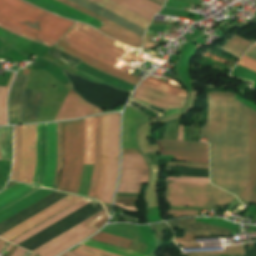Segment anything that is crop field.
<instances>
[{"label":"crop field","instance_id":"crop-field-45","mask_svg":"<svg viewBox=\"0 0 256 256\" xmlns=\"http://www.w3.org/2000/svg\"><path fill=\"white\" fill-rule=\"evenodd\" d=\"M56 48H58V49H60V50H62V51H64V52H66V53H68V54L74 56L75 58H77V59H79V60H81V61H83V62H85V63H87V64H89V65H91V66H93V67H95V68H98V69H100V70H102V71H104V72H106V73H108V74H110V75H112V76H115V77H117V78H120V79H122V80H125V81H127V82H129V83H132V84L136 85V82L131 81V80H128V79L123 78V77H120V76L115 75V74H113V73H111V72H109V71H106V70H104V69H102V68H100V67H97V66H95V65H93V64H91V63L85 61L84 59H82V58H80V57H78V56L72 54L71 52H69V51H67V50H65V49H63V48H61V47H59V46H57V45H56Z\"/></svg>","mask_w":256,"mask_h":256},{"label":"crop field","instance_id":"crop-field-21","mask_svg":"<svg viewBox=\"0 0 256 256\" xmlns=\"http://www.w3.org/2000/svg\"><path fill=\"white\" fill-rule=\"evenodd\" d=\"M143 37L145 30L86 0H70Z\"/></svg>","mask_w":256,"mask_h":256},{"label":"crop field","instance_id":"crop-field-41","mask_svg":"<svg viewBox=\"0 0 256 256\" xmlns=\"http://www.w3.org/2000/svg\"><path fill=\"white\" fill-rule=\"evenodd\" d=\"M103 213H105V211H102V212L98 213L97 215H95V216L91 217L90 219L86 220L85 222H83V223L79 224L78 226H76V227L72 228L71 230H69V231L65 232L64 234H62V235L58 236L57 238H55V239L51 240L50 242L46 243L45 245H43V246L39 247L38 249H36V250H34V251H32V252L36 253V252L40 251L41 249H43V248L47 247L48 245H50V244H52L53 242H55V241L59 240L60 238L64 237L65 235H67V234H69L70 232H72V231L76 230L77 228H79V227H81L82 225H84V224L88 223L89 221L93 220L94 218H96V217L100 216V215H101V214H103Z\"/></svg>","mask_w":256,"mask_h":256},{"label":"crop field","instance_id":"crop-field-23","mask_svg":"<svg viewBox=\"0 0 256 256\" xmlns=\"http://www.w3.org/2000/svg\"><path fill=\"white\" fill-rule=\"evenodd\" d=\"M100 169V116L94 117L93 170L88 196L94 197Z\"/></svg>","mask_w":256,"mask_h":256},{"label":"crop field","instance_id":"crop-field-10","mask_svg":"<svg viewBox=\"0 0 256 256\" xmlns=\"http://www.w3.org/2000/svg\"><path fill=\"white\" fill-rule=\"evenodd\" d=\"M36 125L22 126V164L18 181L31 184L35 165Z\"/></svg>","mask_w":256,"mask_h":256},{"label":"crop field","instance_id":"crop-field-16","mask_svg":"<svg viewBox=\"0 0 256 256\" xmlns=\"http://www.w3.org/2000/svg\"><path fill=\"white\" fill-rule=\"evenodd\" d=\"M251 203L256 204V112L248 108Z\"/></svg>","mask_w":256,"mask_h":256},{"label":"crop field","instance_id":"crop-field-55","mask_svg":"<svg viewBox=\"0 0 256 256\" xmlns=\"http://www.w3.org/2000/svg\"><path fill=\"white\" fill-rule=\"evenodd\" d=\"M183 247H201V244H182Z\"/></svg>","mask_w":256,"mask_h":256},{"label":"crop field","instance_id":"crop-field-30","mask_svg":"<svg viewBox=\"0 0 256 256\" xmlns=\"http://www.w3.org/2000/svg\"><path fill=\"white\" fill-rule=\"evenodd\" d=\"M21 164V126L14 127V164L12 170V180L18 178V173Z\"/></svg>","mask_w":256,"mask_h":256},{"label":"crop field","instance_id":"crop-field-18","mask_svg":"<svg viewBox=\"0 0 256 256\" xmlns=\"http://www.w3.org/2000/svg\"><path fill=\"white\" fill-rule=\"evenodd\" d=\"M56 166V123L47 124V165L42 186L51 188Z\"/></svg>","mask_w":256,"mask_h":256},{"label":"crop field","instance_id":"crop-field-37","mask_svg":"<svg viewBox=\"0 0 256 256\" xmlns=\"http://www.w3.org/2000/svg\"><path fill=\"white\" fill-rule=\"evenodd\" d=\"M142 84L148 85L150 87L159 89L161 91L167 92V93H171V94H175V95H180V96H184L186 97V92L185 90H180V89H175V88H171L168 87L158 81L152 80L147 78L144 82H142Z\"/></svg>","mask_w":256,"mask_h":256},{"label":"crop field","instance_id":"crop-field-15","mask_svg":"<svg viewBox=\"0 0 256 256\" xmlns=\"http://www.w3.org/2000/svg\"><path fill=\"white\" fill-rule=\"evenodd\" d=\"M28 1H31L43 8H46L58 15L88 23L97 29L103 25V23L85 14H82L72 8H69L59 2H56L54 0H28Z\"/></svg>","mask_w":256,"mask_h":256},{"label":"crop field","instance_id":"crop-field-8","mask_svg":"<svg viewBox=\"0 0 256 256\" xmlns=\"http://www.w3.org/2000/svg\"><path fill=\"white\" fill-rule=\"evenodd\" d=\"M119 117L120 114H110L108 172L101 199L108 204L112 201L118 172Z\"/></svg>","mask_w":256,"mask_h":256},{"label":"crop field","instance_id":"crop-field-11","mask_svg":"<svg viewBox=\"0 0 256 256\" xmlns=\"http://www.w3.org/2000/svg\"><path fill=\"white\" fill-rule=\"evenodd\" d=\"M80 199H82V197L69 195L64 199L60 200L59 202L48 207L47 209L43 210L42 212L38 213L37 215L21 223L20 225L16 226L15 228L4 233L0 237L6 241H9L15 238L16 236L20 235L21 233L27 231L28 229L34 227L35 225L39 224L40 222L46 220L47 218L53 216L59 211L65 209L66 207L72 205L73 203L77 202Z\"/></svg>","mask_w":256,"mask_h":256},{"label":"crop field","instance_id":"crop-field-53","mask_svg":"<svg viewBox=\"0 0 256 256\" xmlns=\"http://www.w3.org/2000/svg\"><path fill=\"white\" fill-rule=\"evenodd\" d=\"M134 57L135 56L128 53L122 60L129 63Z\"/></svg>","mask_w":256,"mask_h":256},{"label":"crop field","instance_id":"crop-field-33","mask_svg":"<svg viewBox=\"0 0 256 256\" xmlns=\"http://www.w3.org/2000/svg\"><path fill=\"white\" fill-rule=\"evenodd\" d=\"M0 150L3 160H11V133L8 127L0 128Z\"/></svg>","mask_w":256,"mask_h":256},{"label":"crop field","instance_id":"crop-field-24","mask_svg":"<svg viewBox=\"0 0 256 256\" xmlns=\"http://www.w3.org/2000/svg\"><path fill=\"white\" fill-rule=\"evenodd\" d=\"M90 1L108 9L109 11L123 17L124 19L136 24L137 26L143 29H145L148 23L150 22L109 0H90Z\"/></svg>","mask_w":256,"mask_h":256},{"label":"crop field","instance_id":"crop-field-4","mask_svg":"<svg viewBox=\"0 0 256 256\" xmlns=\"http://www.w3.org/2000/svg\"><path fill=\"white\" fill-rule=\"evenodd\" d=\"M166 183V197L171 206L211 207L231 204L234 199V196L210 184Z\"/></svg>","mask_w":256,"mask_h":256},{"label":"crop field","instance_id":"crop-field-57","mask_svg":"<svg viewBox=\"0 0 256 256\" xmlns=\"http://www.w3.org/2000/svg\"><path fill=\"white\" fill-rule=\"evenodd\" d=\"M4 244H5V241H3V240L0 239V250H1V248L3 247Z\"/></svg>","mask_w":256,"mask_h":256},{"label":"crop field","instance_id":"crop-field-9","mask_svg":"<svg viewBox=\"0 0 256 256\" xmlns=\"http://www.w3.org/2000/svg\"><path fill=\"white\" fill-rule=\"evenodd\" d=\"M107 219L108 216L105 213L100 217L94 219L93 221L89 222L88 224L77 229L76 231L72 232L71 234L60 239L59 241L48 246L47 248L41 250L37 254H39V256H54L71 247L72 245L84 239L93 232L97 231L96 229H99L107 221Z\"/></svg>","mask_w":256,"mask_h":256},{"label":"crop field","instance_id":"crop-field-7","mask_svg":"<svg viewBox=\"0 0 256 256\" xmlns=\"http://www.w3.org/2000/svg\"><path fill=\"white\" fill-rule=\"evenodd\" d=\"M161 155H174V160L208 163V144L184 141H159Z\"/></svg>","mask_w":256,"mask_h":256},{"label":"crop field","instance_id":"crop-field-56","mask_svg":"<svg viewBox=\"0 0 256 256\" xmlns=\"http://www.w3.org/2000/svg\"><path fill=\"white\" fill-rule=\"evenodd\" d=\"M149 78H152V79L158 80V81H160V82H162V83H164V84H167V85H169V86L176 87V86H174V85H171V84L165 83V82H163V81H161V80H159V79L153 78V77H151V76H149ZM177 88H180V87H177ZM181 89H182V88H181Z\"/></svg>","mask_w":256,"mask_h":256},{"label":"crop field","instance_id":"crop-field-22","mask_svg":"<svg viewBox=\"0 0 256 256\" xmlns=\"http://www.w3.org/2000/svg\"><path fill=\"white\" fill-rule=\"evenodd\" d=\"M134 13L151 20L152 16L158 12L162 6L150 0H111Z\"/></svg>","mask_w":256,"mask_h":256},{"label":"crop field","instance_id":"crop-field-46","mask_svg":"<svg viewBox=\"0 0 256 256\" xmlns=\"http://www.w3.org/2000/svg\"><path fill=\"white\" fill-rule=\"evenodd\" d=\"M201 237V232L199 231H191L186 232L184 239H175L176 242H188V243H194V238Z\"/></svg>","mask_w":256,"mask_h":256},{"label":"crop field","instance_id":"crop-field-29","mask_svg":"<svg viewBox=\"0 0 256 256\" xmlns=\"http://www.w3.org/2000/svg\"><path fill=\"white\" fill-rule=\"evenodd\" d=\"M93 117L84 119V164H92Z\"/></svg>","mask_w":256,"mask_h":256},{"label":"crop field","instance_id":"crop-field-17","mask_svg":"<svg viewBox=\"0 0 256 256\" xmlns=\"http://www.w3.org/2000/svg\"><path fill=\"white\" fill-rule=\"evenodd\" d=\"M46 165V124L37 125L36 165L33 176L34 185L41 186Z\"/></svg>","mask_w":256,"mask_h":256},{"label":"crop field","instance_id":"crop-field-54","mask_svg":"<svg viewBox=\"0 0 256 256\" xmlns=\"http://www.w3.org/2000/svg\"><path fill=\"white\" fill-rule=\"evenodd\" d=\"M182 135H183V125H180L177 140H182Z\"/></svg>","mask_w":256,"mask_h":256},{"label":"crop field","instance_id":"crop-field-38","mask_svg":"<svg viewBox=\"0 0 256 256\" xmlns=\"http://www.w3.org/2000/svg\"><path fill=\"white\" fill-rule=\"evenodd\" d=\"M61 166V123H57V166L52 188L56 189Z\"/></svg>","mask_w":256,"mask_h":256},{"label":"crop field","instance_id":"crop-field-48","mask_svg":"<svg viewBox=\"0 0 256 256\" xmlns=\"http://www.w3.org/2000/svg\"><path fill=\"white\" fill-rule=\"evenodd\" d=\"M169 25H154V24H150L148 30H152V31H167Z\"/></svg>","mask_w":256,"mask_h":256},{"label":"crop field","instance_id":"crop-field-12","mask_svg":"<svg viewBox=\"0 0 256 256\" xmlns=\"http://www.w3.org/2000/svg\"><path fill=\"white\" fill-rule=\"evenodd\" d=\"M56 1H59V2L65 4L69 7H72V8H74V9H76V10L82 12V13H85V14H87V15L95 18V19H98V20L104 22L105 24L98 29L102 33H104V34H106V35H108V36H110V37H112L116 40H119V41H121V42H123V43H125L129 46H134V47H137V48L140 47V44H141L143 38H141V37L129 32V31L115 25L114 23H112V22H110V21H108V20H106V19H104V18H102V17H100V16H98V15H96V14H94V13H92V12L74 4V3H72V2H69L67 0H56Z\"/></svg>","mask_w":256,"mask_h":256},{"label":"crop field","instance_id":"crop-field-58","mask_svg":"<svg viewBox=\"0 0 256 256\" xmlns=\"http://www.w3.org/2000/svg\"><path fill=\"white\" fill-rule=\"evenodd\" d=\"M154 1H156V2H158V3H160V4H162V5H163V3L165 2V0H154Z\"/></svg>","mask_w":256,"mask_h":256},{"label":"crop field","instance_id":"crop-field-51","mask_svg":"<svg viewBox=\"0 0 256 256\" xmlns=\"http://www.w3.org/2000/svg\"><path fill=\"white\" fill-rule=\"evenodd\" d=\"M25 250L17 247V249L13 252L11 256H22L24 254Z\"/></svg>","mask_w":256,"mask_h":256},{"label":"crop field","instance_id":"crop-field-19","mask_svg":"<svg viewBox=\"0 0 256 256\" xmlns=\"http://www.w3.org/2000/svg\"><path fill=\"white\" fill-rule=\"evenodd\" d=\"M109 114L101 116V169L95 198L100 200L107 172Z\"/></svg>","mask_w":256,"mask_h":256},{"label":"crop field","instance_id":"crop-field-32","mask_svg":"<svg viewBox=\"0 0 256 256\" xmlns=\"http://www.w3.org/2000/svg\"><path fill=\"white\" fill-rule=\"evenodd\" d=\"M246 40L237 35H233L232 38L224 44L223 48L241 56L244 51L252 44Z\"/></svg>","mask_w":256,"mask_h":256},{"label":"crop field","instance_id":"crop-field-1","mask_svg":"<svg viewBox=\"0 0 256 256\" xmlns=\"http://www.w3.org/2000/svg\"><path fill=\"white\" fill-rule=\"evenodd\" d=\"M209 121L200 136L211 142L213 183L250 201L247 106L232 93H208Z\"/></svg>","mask_w":256,"mask_h":256},{"label":"crop field","instance_id":"crop-field-34","mask_svg":"<svg viewBox=\"0 0 256 256\" xmlns=\"http://www.w3.org/2000/svg\"><path fill=\"white\" fill-rule=\"evenodd\" d=\"M91 239H95L98 241H102V242L109 243V244L126 248V249H128V247L132 243V240L124 239L121 237L113 236V235L102 233V232L92 237Z\"/></svg>","mask_w":256,"mask_h":256},{"label":"crop field","instance_id":"crop-field-44","mask_svg":"<svg viewBox=\"0 0 256 256\" xmlns=\"http://www.w3.org/2000/svg\"><path fill=\"white\" fill-rule=\"evenodd\" d=\"M172 180L178 182H195V183H209V178H195V177H168L165 181Z\"/></svg>","mask_w":256,"mask_h":256},{"label":"crop field","instance_id":"crop-field-28","mask_svg":"<svg viewBox=\"0 0 256 256\" xmlns=\"http://www.w3.org/2000/svg\"><path fill=\"white\" fill-rule=\"evenodd\" d=\"M57 45L65 48V49L73 52L74 54H76V55H78V56H80V57H82V58H84V59H86V60H88V61H90V62H92V63H94V64H96V65H98V66H100L102 68H104V69H106V70H109V71H111V72H113L115 74H118L120 76L126 77V78L131 79V80H134L136 82L140 81V79L135 78V77L129 75V73L124 72L122 70H119V69H117L115 67H112L110 65H107V64H105V63H103V62H101V61H99V60H97V59H95V58H93V57H91V56H89V55H87V54H85V53H83V52H81V51H79V50H77V49H75V48L65 44V43H63V42H61V41Z\"/></svg>","mask_w":256,"mask_h":256},{"label":"crop field","instance_id":"crop-field-27","mask_svg":"<svg viewBox=\"0 0 256 256\" xmlns=\"http://www.w3.org/2000/svg\"><path fill=\"white\" fill-rule=\"evenodd\" d=\"M75 68H77V69H79V70L97 78V79H100V80H102L106 83H109V84L114 85L116 87H119L123 90H126L128 92L132 91L133 88H134V86H132V85H129V84L124 83L120 80L112 78V77H110L106 74H103V73H101V72H99V71H97V70H95V69H93V68H91V67H89V66H87L83 63H81V62Z\"/></svg>","mask_w":256,"mask_h":256},{"label":"crop field","instance_id":"crop-field-39","mask_svg":"<svg viewBox=\"0 0 256 256\" xmlns=\"http://www.w3.org/2000/svg\"><path fill=\"white\" fill-rule=\"evenodd\" d=\"M39 188H35V187H28L25 190L19 192L18 194L14 195L13 197L7 199L6 201L2 202L0 204V211L5 209L6 207L12 205L13 203L19 201L20 199L26 197L27 195L33 193L34 191L38 190Z\"/></svg>","mask_w":256,"mask_h":256},{"label":"crop field","instance_id":"crop-field-6","mask_svg":"<svg viewBox=\"0 0 256 256\" xmlns=\"http://www.w3.org/2000/svg\"><path fill=\"white\" fill-rule=\"evenodd\" d=\"M28 77L16 75L8 98L9 124L37 122L43 92L24 89Z\"/></svg>","mask_w":256,"mask_h":256},{"label":"crop field","instance_id":"crop-field-35","mask_svg":"<svg viewBox=\"0 0 256 256\" xmlns=\"http://www.w3.org/2000/svg\"><path fill=\"white\" fill-rule=\"evenodd\" d=\"M78 246H80V245H78ZM78 246H76V247H78ZM76 247L72 248L71 250L75 249ZM71 250H69V251H71ZM72 252H76V253L86 255V256H118V255H114L111 253L103 252V251L92 249V248L85 247V246H80L77 249L73 250ZM62 256H80V255H76V254L67 252V253L63 254Z\"/></svg>","mask_w":256,"mask_h":256},{"label":"crop field","instance_id":"crop-field-52","mask_svg":"<svg viewBox=\"0 0 256 256\" xmlns=\"http://www.w3.org/2000/svg\"><path fill=\"white\" fill-rule=\"evenodd\" d=\"M122 153L140 154L138 149H122Z\"/></svg>","mask_w":256,"mask_h":256},{"label":"crop field","instance_id":"crop-field-13","mask_svg":"<svg viewBox=\"0 0 256 256\" xmlns=\"http://www.w3.org/2000/svg\"><path fill=\"white\" fill-rule=\"evenodd\" d=\"M133 98L166 109L183 108L186 99L184 97L168 95L142 84H140L134 93Z\"/></svg>","mask_w":256,"mask_h":256},{"label":"crop field","instance_id":"crop-field-31","mask_svg":"<svg viewBox=\"0 0 256 256\" xmlns=\"http://www.w3.org/2000/svg\"><path fill=\"white\" fill-rule=\"evenodd\" d=\"M122 169L148 170L142 155L122 154Z\"/></svg>","mask_w":256,"mask_h":256},{"label":"crop field","instance_id":"crop-field-20","mask_svg":"<svg viewBox=\"0 0 256 256\" xmlns=\"http://www.w3.org/2000/svg\"><path fill=\"white\" fill-rule=\"evenodd\" d=\"M149 171L121 170L117 193H138L141 183H147Z\"/></svg>","mask_w":256,"mask_h":256},{"label":"crop field","instance_id":"crop-field-36","mask_svg":"<svg viewBox=\"0 0 256 256\" xmlns=\"http://www.w3.org/2000/svg\"><path fill=\"white\" fill-rule=\"evenodd\" d=\"M15 73L12 74L7 87H0V123H7L6 97Z\"/></svg>","mask_w":256,"mask_h":256},{"label":"crop field","instance_id":"crop-field-43","mask_svg":"<svg viewBox=\"0 0 256 256\" xmlns=\"http://www.w3.org/2000/svg\"><path fill=\"white\" fill-rule=\"evenodd\" d=\"M188 254H243L241 245L226 247V251L218 252H203V253H188ZM184 255V254H181Z\"/></svg>","mask_w":256,"mask_h":256},{"label":"crop field","instance_id":"crop-field-25","mask_svg":"<svg viewBox=\"0 0 256 256\" xmlns=\"http://www.w3.org/2000/svg\"><path fill=\"white\" fill-rule=\"evenodd\" d=\"M89 201H91V199L85 198V199L81 200L80 202L69 207L68 209L64 210L63 212L59 213L58 215L54 216L53 218L47 220L46 222L42 223L41 225H39L36 228L32 229L31 231L27 232L26 234L15 239L11 243H13L15 245L21 243L22 241L26 240L27 238L31 237L32 235L36 234L37 232L41 231L42 229L46 228L47 226L51 225L52 223L58 221L59 219L68 215L69 213L73 212L74 210L78 209L79 207L83 206L84 204L88 203Z\"/></svg>","mask_w":256,"mask_h":256},{"label":"crop field","instance_id":"crop-field-26","mask_svg":"<svg viewBox=\"0 0 256 256\" xmlns=\"http://www.w3.org/2000/svg\"><path fill=\"white\" fill-rule=\"evenodd\" d=\"M238 64L256 72V61H254L252 59H249V58L243 56ZM239 65H237L234 68V70L230 73V75L255 81L252 87L256 89V73H254L248 69H245Z\"/></svg>","mask_w":256,"mask_h":256},{"label":"crop field","instance_id":"crop-field-60","mask_svg":"<svg viewBox=\"0 0 256 256\" xmlns=\"http://www.w3.org/2000/svg\"><path fill=\"white\" fill-rule=\"evenodd\" d=\"M0 158H1V155H0Z\"/></svg>","mask_w":256,"mask_h":256},{"label":"crop field","instance_id":"crop-field-59","mask_svg":"<svg viewBox=\"0 0 256 256\" xmlns=\"http://www.w3.org/2000/svg\"><path fill=\"white\" fill-rule=\"evenodd\" d=\"M34 254L33 253H31V255L30 256H33Z\"/></svg>","mask_w":256,"mask_h":256},{"label":"crop field","instance_id":"crop-field-50","mask_svg":"<svg viewBox=\"0 0 256 256\" xmlns=\"http://www.w3.org/2000/svg\"><path fill=\"white\" fill-rule=\"evenodd\" d=\"M245 55L256 59V44H255L253 47H251V48L245 53Z\"/></svg>","mask_w":256,"mask_h":256},{"label":"crop field","instance_id":"crop-field-5","mask_svg":"<svg viewBox=\"0 0 256 256\" xmlns=\"http://www.w3.org/2000/svg\"><path fill=\"white\" fill-rule=\"evenodd\" d=\"M90 27L77 23L62 41L114 66L125 51L111 45L114 40Z\"/></svg>","mask_w":256,"mask_h":256},{"label":"crop field","instance_id":"crop-field-40","mask_svg":"<svg viewBox=\"0 0 256 256\" xmlns=\"http://www.w3.org/2000/svg\"><path fill=\"white\" fill-rule=\"evenodd\" d=\"M85 242L91 243V244H95V245H98V246H102V247H106V248H109V249L121 251V252H124V253L132 254V255H135V256H142V255H139V254H135V253L128 252V251H125V250H121V249H118V248H115V247H111V246L104 245V244L97 243V242L90 241V240H87V241H85ZM87 243H84V242H83L82 244L88 245V246H91V247H95V248H98V249H102V250H105V251H109V252H112V253H115V254H119V255H122V256H132V255L124 254V253H121V252L109 250V249H106V248L98 247V246L91 245V244H87Z\"/></svg>","mask_w":256,"mask_h":256},{"label":"crop field","instance_id":"crop-field-3","mask_svg":"<svg viewBox=\"0 0 256 256\" xmlns=\"http://www.w3.org/2000/svg\"><path fill=\"white\" fill-rule=\"evenodd\" d=\"M83 168V119L64 122L63 168L59 190L77 194Z\"/></svg>","mask_w":256,"mask_h":256},{"label":"crop field","instance_id":"crop-field-14","mask_svg":"<svg viewBox=\"0 0 256 256\" xmlns=\"http://www.w3.org/2000/svg\"><path fill=\"white\" fill-rule=\"evenodd\" d=\"M99 112L101 111L98 108L83 101L80 96L70 88L55 120L72 119Z\"/></svg>","mask_w":256,"mask_h":256},{"label":"crop field","instance_id":"crop-field-42","mask_svg":"<svg viewBox=\"0 0 256 256\" xmlns=\"http://www.w3.org/2000/svg\"><path fill=\"white\" fill-rule=\"evenodd\" d=\"M28 187L27 185L17 184L4 192L0 193V202L6 200L7 198L11 197L12 195L18 193L19 191L23 190L24 188Z\"/></svg>","mask_w":256,"mask_h":256},{"label":"crop field","instance_id":"crop-field-2","mask_svg":"<svg viewBox=\"0 0 256 256\" xmlns=\"http://www.w3.org/2000/svg\"><path fill=\"white\" fill-rule=\"evenodd\" d=\"M73 23L21 0H0L1 27L48 47L55 45Z\"/></svg>","mask_w":256,"mask_h":256},{"label":"crop field","instance_id":"crop-field-49","mask_svg":"<svg viewBox=\"0 0 256 256\" xmlns=\"http://www.w3.org/2000/svg\"><path fill=\"white\" fill-rule=\"evenodd\" d=\"M151 37H154V36H146L145 37V40H144V43L142 45L143 48H148V47H155L157 45H154V42H149V39Z\"/></svg>","mask_w":256,"mask_h":256},{"label":"crop field","instance_id":"crop-field-47","mask_svg":"<svg viewBox=\"0 0 256 256\" xmlns=\"http://www.w3.org/2000/svg\"><path fill=\"white\" fill-rule=\"evenodd\" d=\"M168 213L169 214H176L173 217L185 216V215L198 216V212H196V211H168Z\"/></svg>","mask_w":256,"mask_h":256}]
</instances>
